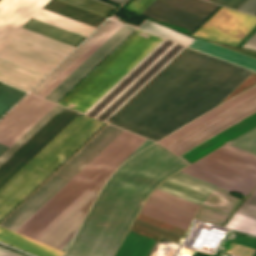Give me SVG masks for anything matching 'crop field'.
I'll return each instance as SVG.
<instances>
[{
  "label": "crop field",
  "instance_id": "4177f3b9",
  "mask_svg": "<svg viewBox=\"0 0 256 256\" xmlns=\"http://www.w3.org/2000/svg\"><path fill=\"white\" fill-rule=\"evenodd\" d=\"M237 212L256 219V189L250 194V196L239 207Z\"/></svg>",
  "mask_w": 256,
  "mask_h": 256
},
{
  "label": "crop field",
  "instance_id": "bc2a9ffb",
  "mask_svg": "<svg viewBox=\"0 0 256 256\" xmlns=\"http://www.w3.org/2000/svg\"><path fill=\"white\" fill-rule=\"evenodd\" d=\"M138 28L149 31L151 33L157 34L159 36L165 37L167 39L173 40L175 42L181 43L188 46L196 38L189 37L187 35L181 34L174 30L168 29L156 23L146 20Z\"/></svg>",
  "mask_w": 256,
  "mask_h": 256
},
{
  "label": "crop field",
  "instance_id": "dafd665d",
  "mask_svg": "<svg viewBox=\"0 0 256 256\" xmlns=\"http://www.w3.org/2000/svg\"><path fill=\"white\" fill-rule=\"evenodd\" d=\"M74 6L86 9L88 11L100 14L102 16H109L115 7L98 2L96 0H60Z\"/></svg>",
  "mask_w": 256,
  "mask_h": 256
},
{
  "label": "crop field",
  "instance_id": "eef30255",
  "mask_svg": "<svg viewBox=\"0 0 256 256\" xmlns=\"http://www.w3.org/2000/svg\"><path fill=\"white\" fill-rule=\"evenodd\" d=\"M247 0H213L212 3L238 9Z\"/></svg>",
  "mask_w": 256,
  "mask_h": 256
},
{
  "label": "crop field",
  "instance_id": "22f410ed",
  "mask_svg": "<svg viewBox=\"0 0 256 256\" xmlns=\"http://www.w3.org/2000/svg\"><path fill=\"white\" fill-rule=\"evenodd\" d=\"M199 205L155 189L141 212L187 229Z\"/></svg>",
  "mask_w": 256,
  "mask_h": 256
},
{
  "label": "crop field",
  "instance_id": "750c4746",
  "mask_svg": "<svg viewBox=\"0 0 256 256\" xmlns=\"http://www.w3.org/2000/svg\"><path fill=\"white\" fill-rule=\"evenodd\" d=\"M0 256H20L0 248Z\"/></svg>",
  "mask_w": 256,
  "mask_h": 256
},
{
  "label": "crop field",
  "instance_id": "dd49c442",
  "mask_svg": "<svg viewBox=\"0 0 256 256\" xmlns=\"http://www.w3.org/2000/svg\"><path fill=\"white\" fill-rule=\"evenodd\" d=\"M49 0H0V81L28 91L74 46L21 28L31 17L86 37L95 27L41 9Z\"/></svg>",
  "mask_w": 256,
  "mask_h": 256
},
{
  "label": "crop field",
  "instance_id": "92a150f3",
  "mask_svg": "<svg viewBox=\"0 0 256 256\" xmlns=\"http://www.w3.org/2000/svg\"><path fill=\"white\" fill-rule=\"evenodd\" d=\"M225 228L256 235V220L235 212Z\"/></svg>",
  "mask_w": 256,
  "mask_h": 256
},
{
  "label": "crop field",
  "instance_id": "5a996713",
  "mask_svg": "<svg viewBox=\"0 0 256 256\" xmlns=\"http://www.w3.org/2000/svg\"><path fill=\"white\" fill-rule=\"evenodd\" d=\"M181 172L247 195L256 185V156L226 144Z\"/></svg>",
  "mask_w": 256,
  "mask_h": 256
},
{
  "label": "crop field",
  "instance_id": "214f88e0",
  "mask_svg": "<svg viewBox=\"0 0 256 256\" xmlns=\"http://www.w3.org/2000/svg\"><path fill=\"white\" fill-rule=\"evenodd\" d=\"M26 93L15 88L0 84V117L8 111Z\"/></svg>",
  "mask_w": 256,
  "mask_h": 256
},
{
  "label": "crop field",
  "instance_id": "a9b5d70f",
  "mask_svg": "<svg viewBox=\"0 0 256 256\" xmlns=\"http://www.w3.org/2000/svg\"><path fill=\"white\" fill-rule=\"evenodd\" d=\"M36 96L29 94L23 101H21L8 115L0 121V131L16 117L29 103H31Z\"/></svg>",
  "mask_w": 256,
  "mask_h": 256
},
{
  "label": "crop field",
  "instance_id": "00972430",
  "mask_svg": "<svg viewBox=\"0 0 256 256\" xmlns=\"http://www.w3.org/2000/svg\"><path fill=\"white\" fill-rule=\"evenodd\" d=\"M227 143L256 155V126Z\"/></svg>",
  "mask_w": 256,
  "mask_h": 256
},
{
  "label": "crop field",
  "instance_id": "ae1a2a85",
  "mask_svg": "<svg viewBox=\"0 0 256 256\" xmlns=\"http://www.w3.org/2000/svg\"><path fill=\"white\" fill-rule=\"evenodd\" d=\"M239 10L245 11L247 13L256 14V0H248L246 3H244Z\"/></svg>",
  "mask_w": 256,
  "mask_h": 256
},
{
  "label": "crop field",
  "instance_id": "ac0d7876",
  "mask_svg": "<svg viewBox=\"0 0 256 256\" xmlns=\"http://www.w3.org/2000/svg\"><path fill=\"white\" fill-rule=\"evenodd\" d=\"M251 72L188 48L110 124L157 141L217 106Z\"/></svg>",
  "mask_w": 256,
  "mask_h": 256
},
{
  "label": "crop field",
  "instance_id": "733c2abd",
  "mask_svg": "<svg viewBox=\"0 0 256 256\" xmlns=\"http://www.w3.org/2000/svg\"><path fill=\"white\" fill-rule=\"evenodd\" d=\"M154 240L128 231L114 256H146Z\"/></svg>",
  "mask_w": 256,
  "mask_h": 256
},
{
  "label": "crop field",
  "instance_id": "34b2d1b8",
  "mask_svg": "<svg viewBox=\"0 0 256 256\" xmlns=\"http://www.w3.org/2000/svg\"><path fill=\"white\" fill-rule=\"evenodd\" d=\"M187 165L158 144L130 158L106 182L64 256H112L141 202Z\"/></svg>",
  "mask_w": 256,
  "mask_h": 256
},
{
  "label": "crop field",
  "instance_id": "8a807250",
  "mask_svg": "<svg viewBox=\"0 0 256 256\" xmlns=\"http://www.w3.org/2000/svg\"><path fill=\"white\" fill-rule=\"evenodd\" d=\"M121 131L122 129L107 124L0 225L15 231ZM145 139L123 130L16 232L38 240L140 146ZM111 174L43 235L39 241L55 247L75 229L84 215L87 214L98 191Z\"/></svg>",
  "mask_w": 256,
  "mask_h": 256
},
{
  "label": "crop field",
  "instance_id": "d3111659",
  "mask_svg": "<svg viewBox=\"0 0 256 256\" xmlns=\"http://www.w3.org/2000/svg\"><path fill=\"white\" fill-rule=\"evenodd\" d=\"M242 46L256 50V32Z\"/></svg>",
  "mask_w": 256,
  "mask_h": 256
},
{
  "label": "crop field",
  "instance_id": "d1516ede",
  "mask_svg": "<svg viewBox=\"0 0 256 256\" xmlns=\"http://www.w3.org/2000/svg\"><path fill=\"white\" fill-rule=\"evenodd\" d=\"M255 27V16L222 7L192 36L236 47Z\"/></svg>",
  "mask_w": 256,
  "mask_h": 256
},
{
  "label": "crop field",
  "instance_id": "3316defc",
  "mask_svg": "<svg viewBox=\"0 0 256 256\" xmlns=\"http://www.w3.org/2000/svg\"><path fill=\"white\" fill-rule=\"evenodd\" d=\"M157 189L202 205L196 219L222 225L242 200L230 191L181 172L167 178Z\"/></svg>",
  "mask_w": 256,
  "mask_h": 256
},
{
  "label": "crop field",
  "instance_id": "e52e79f7",
  "mask_svg": "<svg viewBox=\"0 0 256 256\" xmlns=\"http://www.w3.org/2000/svg\"><path fill=\"white\" fill-rule=\"evenodd\" d=\"M256 125V86L156 142L187 163Z\"/></svg>",
  "mask_w": 256,
  "mask_h": 256
},
{
  "label": "crop field",
  "instance_id": "4a817a6b",
  "mask_svg": "<svg viewBox=\"0 0 256 256\" xmlns=\"http://www.w3.org/2000/svg\"><path fill=\"white\" fill-rule=\"evenodd\" d=\"M190 47L204 51L206 53L212 54L214 56L223 58L225 60L234 62L236 64L245 66L247 68L253 69L256 71V60L242 56L240 54L228 51L226 49L217 47L215 45L203 42L201 40H195Z\"/></svg>",
  "mask_w": 256,
  "mask_h": 256
},
{
  "label": "crop field",
  "instance_id": "28ad6ade",
  "mask_svg": "<svg viewBox=\"0 0 256 256\" xmlns=\"http://www.w3.org/2000/svg\"><path fill=\"white\" fill-rule=\"evenodd\" d=\"M218 7L202 0H155L141 15L195 31Z\"/></svg>",
  "mask_w": 256,
  "mask_h": 256
},
{
  "label": "crop field",
  "instance_id": "f4fd0767",
  "mask_svg": "<svg viewBox=\"0 0 256 256\" xmlns=\"http://www.w3.org/2000/svg\"><path fill=\"white\" fill-rule=\"evenodd\" d=\"M80 113L56 104L0 157V187ZM103 122L73 120L0 188V219Z\"/></svg>",
  "mask_w": 256,
  "mask_h": 256
},
{
  "label": "crop field",
  "instance_id": "d9b57169",
  "mask_svg": "<svg viewBox=\"0 0 256 256\" xmlns=\"http://www.w3.org/2000/svg\"><path fill=\"white\" fill-rule=\"evenodd\" d=\"M23 28L76 46L84 37L31 18Z\"/></svg>",
  "mask_w": 256,
  "mask_h": 256
},
{
  "label": "crop field",
  "instance_id": "d8731c3e",
  "mask_svg": "<svg viewBox=\"0 0 256 256\" xmlns=\"http://www.w3.org/2000/svg\"><path fill=\"white\" fill-rule=\"evenodd\" d=\"M115 23L116 22L108 20L77 50H75L63 63H61L50 75H48L37 87H35L31 91V93L38 95ZM121 26L122 24L117 22L85 53H83L72 65H70L58 78H56L45 90H43L39 94V96L44 98ZM133 30V28L123 25L91 56H89L78 68H76L64 81H62L51 93H49L45 97V99L57 102Z\"/></svg>",
  "mask_w": 256,
  "mask_h": 256
},
{
  "label": "crop field",
  "instance_id": "412701ff",
  "mask_svg": "<svg viewBox=\"0 0 256 256\" xmlns=\"http://www.w3.org/2000/svg\"><path fill=\"white\" fill-rule=\"evenodd\" d=\"M161 40L136 30L59 104L84 113ZM185 49L163 39L85 114L107 122Z\"/></svg>",
  "mask_w": 256,
  "mask_h": 256
},
{
  "label": "crop field",
  "instance_id": "730fd06b",
  "mask_svg": "<svg viewBox=\"0 0 256 256\" xmlns=\"http://www.w3.org/2000/svg\"><path fill=\"white\" fill-rule=\"evenodd\" d=\"M153 0H133L129 3L125 9L139 14L144 8H146Z\"/></svg>",
  "mask_w": 256,
  "mask_h": 256
},
{
  "label": "crop field",
  "instance_id": "bd1437ed",
  "mask_svg": "<svg viewBox=\"0 0 256 256\" xmlns=\"http://www.w3.org/2000/svg\"><path fill=\"white\" fill-rule=\"evenodd\" d=\"M112 1H114V2H117V3L121 4V3H123L125 0H112Z\"/></svg>",
  "mask_w": 256,
  "mask_h": 256
},
{
  "label": "crop field",
  "instance_id": "cbeb9de0",
  "mask_svg": "<svg viewBox=\"0 0 256 256\" xmlns=\"http://www.w3.org/2000/svg\"><path fill=\"white\" fill-rule=\"evenodd\" d=\"M54 105L37 97L0 132V142L11 146ZM4 144L0 143V156L9 148Z\"/></svg>",
  "mask_w": 256,
  "mask_h": 256
},
{
  "label": "crop field",
  "instance_id": "5142ce71",
  "mask_svg": "<svg viewBox=\"0 0 256 256\" xmlns=\"http://www.w3.org/2000/svg\"><path fill=\"white\" fill-rule=\"evenodd\" d=\"M0 241L36 256H61L63 252L0 227Z\"/></svg>",
  "mask_w": 256,
  "mask_h": 256
}]
</instances>
